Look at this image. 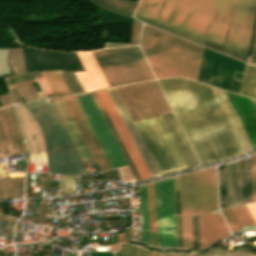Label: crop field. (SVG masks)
<instances>
[{
    "label": "crop field",
    "mask_w": 256,
    "mask_h": 256,
    "mask_svg": "<svg viewBox=\"0 0 256 256\" xmlns=\"http://www.w3.org/2000/svg\"><path fill=\"white\" fill-rule=\"evenodd\" d=\"M143 241L149 244L146 184L141 185Z\"/></svg>",
    "instance_id": "obj_24"
},
{
    "label": "crop field",
    "mask_w": 256,
    "mask_h": 256,
    "mask_svg": "<svg viewBox=\"0 0 256 256\" xmlns=\"http://www.w3.org/2000/svg\"><path fill=\"white\" fill-rule=\"evenodd\" d=\"M50 101H51L61 123L63 124L74 148L76 149L82 163L92 162L93 159H92L78 129L76 128L62 98L50 99Z\"/></svg>",
    "instance_id": "obj_12"
},
{
    "label": "crop field",
    "mask_w": 256,
    "mask_h": 256,
    "mask_svg": "<svg viewBox=\"0 0 256 256\" xmlns=\"http://www.w3.org/2000/svg\"><path fill=\"white\" fill-rule=\"evenodd\" d=\"M256 223V202L246 204Z\"/></svg>",
    "instance_id": "obj_36"
},
{
    "label": "crop field",
    "mask_w": 256,
    "mask_h": 256,
    "mask_svg": "<svg viewBox=\"0 0 256 256\" xmlns=\"http://www.w3.org/2000/svg\"><path fill=\"white\" fill-rule=\"evenodd\" d=\"M26 105L43 132L49 173L86 174L49 99L27 102Z\"/></svg>",
    "instance_id": "obj_4"
},
{
    "label": "crop field",
    "mask_w": 256,
    "mask_h": 256,
    "mask_svg": "<svg viewBox=\"0 0 256 256\" xmlns=\"http://www.w3.org/2000/svg\"><path fill=\"white\" fill-rule=\"evenodd\" d=\"M251 101H252V103H253V105H254V107L256 109V101L255 100H251Z\"/></svg>",
    "instance_id": "obj_41"
},
{
    "label": "crop field",
    "mask_w": 256,
    "mask_h": 256,
    "mask_svg": "<svg viewBox=\"0 0 256 256\" xmlns=\"http://www.w3.org/2000/svg\"><path fill=\"white\" fill-rule=\"evenodd\" d=\"M151 256H164V254L151 252Z\"/></svg>",
    "instance_id": "obj_39"
},
{
    "label": "crop field",
    "mask_w": 256,
    "mask_h": 256,
    "mask_svg": "<svg viewBox=\"0 0 256 256\" xmlns=\"http://www.w3.org/2000/svg\"><path fill=\"white\" fill-rule=\"evenodd\" d=\"M120 117L122 118L136 148L138 149L151 177L159 175V172L147 150V148L145 147L133 121L131 120L116 88H110L107 89Z\"/></svg>",
    "instance_id": "obj_11"
},
{
    "label": "crop field",
    "mask_w": 256,
    "mask_h": 256,
    "mask_svg": "<svg viewBox=\"0 0 256 256\" xmlns=\"http://www.w3.org/2000/svg\"><path fill=\"white\" fill-rule=\"evenodd\" d=\"M188 81L227 157L243 152L210 86L191 80Z\"/></svg>",
    "instance_id": "obj_7"
},
{
    "label": "crop field",
    "mask_w": 256,
    "mask_h": 256,
    "mask_svg": "<svg viewBox=\"0 0 256 256\" xmlns=\"http://www.w3.org/2000/svg\"><path fill=\"white\" fill-rule=\"evenodd\" d=\"M201 248L229 237V231L218 210L200 214Z\"/></svg>",
    "instance_id": "obj_13"
},
{
    "label": "crop field",
    "mask_w": 256,
    "mask_h": 256,
    "mask_svg": "<svg viewBox=\"0 0 256 256\" xmlns=\"http://www.w3.org/2000/svg\"><path fill=\"white\" fill-rule=\"evenodd\" d=\"M165 256H172V254H165Z\"/></svg>",
    "instance_id": "obj_42"
},
{
    "label": "crop field",
    "mask_w": 256,
    "mask_h": 256,
    "mask_svg": "<svg viewBox=\"0 0 256 256\" xmlns=\"http://www.w3.org/2000/svg\"><path fill=\"white\" fill-rule=\"evenodd\" d=\"M253 201L256 200V155L251 157Z\"/></svg>",
    "instance_id": "obj_34"
},
{
    "label": "crop field",
    "mask_w": 256,
    "mask_h": 256,
    "mask_svg": "<svg viewBox=\"0 0 256 256\" xmlns=\"http://www.w3.org/2000/svg\"><path fill=\"white\" fill-rule=\"evenodd\" d=\"M193 248H200L198 215L191 217Z\"/></svg>",
    "instance_id": "obj_31"
},
{
    "label": "crop field",
    "mask_w": 256,
    "mask_h": 256,
    "mask_svg": "<svg viewBox=\"0 0 256 256\" xmlns=\"http://www.w3.org/2000/svg\"><path fill=\"white\" fill-rule=\"evenodd\" d=\"M234 205L241 203L239 160L232 163Z\"/></svg>",
    "instance_id": "obj_27"
},
{
    "label": "crop field",
    "mask_w": 256,
    "mask_h": 256,
    "mask_svg": "<svg viewBox=\"0 0 256 256\" xmlns=\"http://www.w3.org/2000/svg\"><path fill=\"white\" fill-rule=\"evenodd\" d=\"M110 119L112 120L126 150L128 151L141 179L149 178L150 175L137 151L135 148L121 118L119 117L106 89L97 91Z\"/></svg>",
    "instance_id": "obj_10"
},
{
    "label": "crop field",
    "mask_w": 256,
    "mask_h": 256,
    "mask_svg": "<svg viewBox=\"0 0 256 256\" xmlns=\"http://www.w3.org/2000/svg\"><path fill=\"white\" fill-rule=\"evenodd\" d=\"M136 247L125 243L120 244V251L115 256H135Z\"/></svg>",
    "instance_id": "obj_32"
},
{
    "label": "crop field",
    "mask_w": 256,
    "mask_h": 256,
    "mask_svg": "<svg viewBox=\"0 0 256 256\" xmlns=\"http://www.w3.org/2000/svg\"><path fill=\"white\" fill-rule=\"evenodd\" d=\"M178 247H183L181 216H176Z\"/></svg>",
    "instance_id": "obj_35"
},
{
    "label": "crop field",
    "mask_w": 256,
    "mask_h": 256,
    "mask_svg": "<svg viewBox=\"0 0 256 256\" xmlns=\"http://www.w3.org/2000/svg\"><path fill=\"white\" fill-rule=\"evenodd\" d=\"M52 95L69 94L58 71H41Z\"/></svg>",
    "instance_id": "obj_22"
},
{
    "label": "crop field",
    "mask_w": 256,
    "mask_h": 256,
    "mask_svg": "<svg viewBox=\"0 0 256 256\" xmlns=\"http://www.w3.org/2000/svg\"><path fill=\"white\" fill-rule=\"evenodd\" d=\"M221 212H222V214L232 232L240 229L230 208L222 209Z\"/></svg>",
    "instance_id": "obj_30"
},
{
    "label": "crop field",
    "mask_w": 256,
    "mask_h": 256,
    "mask_svg": "<svg viewBox=\"0 0 256 256\" xmlns=\"http://www.w3.org/2000/svg\"><path fill=\"white\" fill-rule=\"evenodd\" d=\"M100 4H102L103 6L119 13L122 15H126V16H132L133 12H134V8L129 7L125 4H122L120 2H117L115 0H94Z\"/></svg>",
    "instance_id": "obj_26"
},
{
    "label": "crop field",
    "mask_w": 256,
    "mask_h": 256,
    "mask_svg": "<svg viewBox=\"0 0 256 256\" xmlns=\"http://www.w3.org/2000/svg\"><path fill=\"white\" fill-rule=\"evenodd\" d=\"M109 86L154 78L139 47L92 51Z\"/></svg>",
    "instance_id": "obj_6"
},
{
    "label": "crop field",
    "mask_w": 256,
    "mask_h": 256,
    "mask_svg": "<svg viewBox=\"0 0 256 256\" xmlns=\"http://www.w3.org/2000/svg\"><path fill=\"white\" fill-rule=\"evenodd\" d=\"M126 45H130V44H112V43H106L104 48H108V47H117V46H126Z\"/></svg>",
    "instance_id": "obj_38"
},
{
    "label": "crop field",
    "mask_w": 256,
    "mask_h": 256,
    "mask_svg": "<svg viewBox=\"0 0 256 256\" xmlns=\"http://www.w3.org/2000/svg\"><path fill=\"white\" fill-rule=\"evenodd\" d=\"M133 120L159 112L144 82L117 88ZM160 174L187 168L161 115L134 121Z\"/></svg>",
    "instance_id": "obj_2"
},
{
    "label": "crop field",
    "mask_w": 256,
    "mask_h": 256,
    "mask_svg": "<svg viewBox=\"0 0 256 256\" xmlns=\"http://www.w3.org/2000/svg\"><path fill=\"white\" fill-rule=\"evenodd\" d=\"M76 193L74 176H60L59 194Z\"/></svg>",
    "instance_id": "obj_29"
},
{
    "label": "crop field",
    "mask_w": 256,
    "mask_h": 256,
    "mask_svg": "<svg viewBox=\"0 0 256 256\" xmlns=\"http://www.w3.org/2000/svg\"><path fill=\"white\" fill-rule=\"evenodd\" d=\"M184 247L192 248L190 215L218 209L216 167L180 176Z\"/></svg>",
    "instance_id": "obj_5"
},
{
    "label": "crop field",
    "mask_w": 256,
    "mask_h": 256,
    "mask_svg": "<svg viewBox=\"0 0 256 256\" xmlns=\"http://www.w3.org/2000/svg\"><path fill=\"white\" fill-rule=\"evenodd\" d=\"M63 100H64V102H65L73 120L75 121V123H76L84 141L86 142V144H87V146H88V148H89V150H90V152H91L99 170L100 171L105 170V167H104V165H103V163H102V161H101V159H100V157H99V155H98V153H97V151H96L88 133L86 132V130H85V128H84V126H83V124H82V122H81V120H80V118H79V116H78L70 98H69V96L64 97Z\"/></svg>",
    "instance_id": "obj_18"
},
{
    "label": "crop field",
    "mask_w": 256,
    "mask_h": 256,
    "mask_svg": "<svg viewBox=\"0 0 256 256\" xmlns=\"http://www.w3.org/2000/svg\"><path fill=\"white\" fill-rule=\"evenodd\" d=\"M86 117L88 118L103 150L112 167L126 165V162L108 129L92 95L77 98Z\"/></svg>",
    "instance_id": "obj_9"
},
{
    "label": "crop field",
    "mask_w": 256,
    "mask_h": 256,
    "mask_svg": "<svg viewBox=\"0 0 256 256\" xmlns=\"http://www.w3.org/2000/svg\"><path fill=\"white\" fill-rule=\"evenodd\" d=\"M150 244L157 247L154 183L147 184Z\"/></svg>",
    "instance_id": "obj_20"
},
{
    "label": "crop field",
    "mask_w": 256,
    "mask_h": 256,
    "mask_svg": "<svg viewBox=\"0 0 256 256\" xmlns=\"http://www.w3.org/2000/svg\"><path fill=\"white\" fill-rule=\"evenodd\" d=\"M176 256H189V254H176Z\"/></svg>",
    "instance_id": "obj_40"
},
{
    "label": "crop field",
    "mask_w": 256,
    "mask_h": 256,
    "mask_svg": "<svg viewBox=\"0 0 256 256\" xmlns=\"http://www.w3.org/2000/svg\"><path fill=\"white\" fill-rule=\"evenodd\" d=\"M242 229L256 230V225L245 204L232 207Z\"/></svg>",
    "instance_id": "obj_23"
},
{
    "label": "crop field",
    "mask_w": 256,
    "mask_h": 256,
    "mask_svg": "<svg viewBox=\"0 0 256 256\" xmlns=\"http://www.w3.org/2000/svg\"><path fill=\"white\" fill-rule=\"evenodd\" d=\"M142 24L132 23L131 29V45L138 44L140 33H141Z\"/></svg>",
    "instance_id": "obj_33"
},
{
    "label": "crop field",
    "mask_w": 256,
    "mask_h": 256,
    "mask_svg": "<svg viewBox=\"0 0 256 256\" xmlns=\"http://www.w3.org/2000/svg\"><path fill=\"white\" fill-rule=\"evenodd\" d=\"M140 44L155 77L184 76L196 81L202 47L146 25Z\"/></svg>",
    "instance_id": "obj_3"
},
{
    "label": "crop field",
    "mask_w": 256,
    "mask_h": 256,
    "mask_svg": "<svg viewBox=\"0 0 256 256\" xmlns=\"http://www.w3.org/2000/svg\"><path fill=\"white\" fill-rule=\"evenodd\" d=\"M240 94L256 99V65L246 64Z\"/></svg>",
    "instance_id": "obj_21"
},
{
    "label": "crop field",
    "mask_w": 256,
    "mask_h": 256,
    "mask_svg": "<svg viewBox=\"0 0 256 256\" xmlns=\"http://www.w3.org/2000/svg\"><path fill=\"white\" fill-rule=\"evenodd\" d=\"M136 256H150V252L137 247Z\"/></svg>",
    "instance_id": "obj_37"
},
{
    "label": "crop field",
    "mask_w": 256,
    "mask_h": 256,
    "mask_svg": "<svg viewBox=\"0 0 256 256\" xmlns=\"http://www.w3.org/2000/svg\"><path fill=\"white\" fill-rule=\"evenodd\" d=\"M86 72H76L85 91L108 87L91 51L76 52Z\"/></svg>",
    "instance_id": "obj_14"
},
{
    "label": "crop field",
    "mask_w": 256,
    "mask_h": 256,
    "mask_svg": "<svg viewBox=\"0 0 256 256\" xmlns=\"http://www.w3.org/2000/svg\"><path fill=\"white\" fill-rule=\"evenodd\" d=\"M162 117L169 131L171 132L179 150L181 151L188 167L199 165L173 113L163 114Z\"/></svg>",
    "instance_id": "obj_17"
},
{
    "label": "crop field",
    "mask_w": 256,
    "mask_h": 256,
    "mask_svg": "<svg viewBox=\"0 0 256 256\" xmlns=\"http://www.w3.org/2000/svg\"><path fill=\"white\" fill-rule=\"evenodd\" d=\"M226 118L228 119L243 151L245 150L246 153H250L253 152L252 149V145L225 93V91L211 87Z\"/></svg>",
    "instance_id": "obj_16"
},
{
    "label": "crop field",
    "mask_w": 256,
    "mask_h": 256,
    "mask_svg": "<svg viewBox=\"0 0 256 256\" xmlns=\"http://www.w3.org/2000/svg\"><path fill=\"white\" fill-rule=\"evenodd\" d=\"M256 151V111L250 99L226 92Z\"/></svg>",
    "instance_id": "obj_15"
},
{
    "label": "crop field",
    "mask_w": 256,
    "mask_h": 256,
    "mask_svg": "<svg viewBox=\"0 0 256 256\" xmlns=\"http://www.w3.org/2000/svg\"><path fill=\"white\" fill-rule=\"evenodd\" d=\"M158 247H177L173 178L155 183Z\"/></svg>",
    "instance_id": "obj_8"
},
{
    "label": "crop field",
    "mask_w": 256,
    "mask_h": 256,
    "mask_svg": "<svg viewBox=\"0 0 256 256\" xmlns=\"http://www.w3.org/2000/svg\"><path fill=\"white\" fill-rule=\"evenodd\" d=\"M70 93L82 92L83 89L74 72L59 71Z\"/></svg>",
    "instance_id": "obj_28"
},
{
    "label": "crop field",
    "mask_w": 256,
    "mask_h": 256,
    "mask_svg": "<svg viewBox=\"0 0 256 256\" xmlns=\"http://www.w3.org/2000/svg\"><path fill=\"white\" fill-rule=\"evenodd\" d=\"M191 256H256V254L227 251L221 247H212L203 254L191 252Z\"/></svg>",
    "instance_id": "obj_25"
},
{
    "label": "crop field",
    "mask_w": 256,
    "mask_h": 256,
    "mask_svg": "<svg viewBox=\"0 0 256 256\" xmlns=\"http://www.w3.org/2000/svg\"><path fill=\"white\" fill-rule=\"evenodd\" d=\"M92 94H93V96H94V98H95V100H96V102H97V104H98V106H99V108H100V110H101V112H102V114H103V116H104V118H105V120H106V122H107V124H108V126H109V128H110V130H111V132H112V134H113V136H114V138H115V140H116V142H117L125 160H126V162H127V164H128V166H129L135 180H140V177H139V175H138V173H137V171H136V169H135V167H134V165H133V163H132V161H131L128 153H127V151L125 150V148H124V146H123V144H122V142H121V140H120V138H119L112 122H111V120L109 119V117H108V115H107V113H106V111H105V109H104L96 91H93Z\"/></svg>",
    "instance_id": "obj_19"
},
{
    "label": "crop field",
    "mask_w": 256,
    "mask_h": 256,
    "mask_svg": "<svg viewBox=\"0 0 256 256\" xmlns=\"http://www.w3.org/2000/svg\"><path fill=\"white\" fill-rule=\"evenodd\" d=\"M255 11L256 0H140L134 17L245 61Z\"/></svg>",
    "instance_id": "obj_1"
}]
</instances>
